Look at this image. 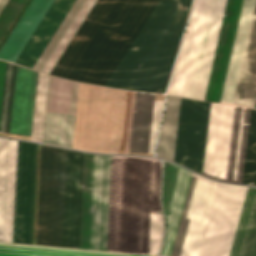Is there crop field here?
<instances>
[{"label": "crop field", "instance_id": "1", "mask_svg": "<svg viewBox=\"0 0 256 256\" xmlns=\"http://www.w3.org/2000/svg\"><path fill=\"white\" fill-rule=\"evenodd\" d=\"M161 164L112 156L107 251L147 254L149 212H161Z\"/></svg>", "mask_w": 256, "mask_h": 256}, {"label": "crop field", "instance_id": "2", "mask_svg": "<svg viewBox=\"0 0 256 256\" xmlns=\"http://www.w3.org/2000/svg\"><path fill=\"white\" fill-rule=\"evenodd\" d=\"M191 0H162L106 86L163 92Z\"/></svg>", "mask_w": 256, "mask_h": 256}, {"label": "crop field", "instance_id": "3", "mask_svg": "<svg viewBox=\"0 0 256 256\" xmlns=\"http://www.w3.org/2000/svg\"><path fill=\"white\" fill-rule=\"evenodd\" d=\"M66 150L42 145L36 244L62 247ZM83 153L67 150L63 247L78 248Z\"/></svg>", "mask_w": 256, "mask_h": 256}, {"label": "crop field", "instance_id": "4", "mask_svg": "<svg viewBox=\"0 0 256 256\" xmlns=\"http://www.w3.org/2000/svg\"><path fill=\"white\" fill-rule=\"evenodd\" d=\"M142 0H97L51 75L89 83Z\"/></svg>", "mask_w": 256, "mask_h": 256}, {"label": "crop field", "instance_id": "5", "mask_svg": "<svg viewBox=\"0 0 256 256\" xmlns=\"http://www.w3.org/2000/svg\"><path fill=\"white\" fill-rule=\"evenodd\" d=\"M227 0H194L168 94L204 100Z\"/></svg>", "mask_w": 256, "mask_h": 256}, {"label": "crop field", "instance_id": "6", "mask_svg": "<svg viewBox=\"0 0 256 256\" xmlns=\"http://www.w3.org/2000/svg\"><path fill=\"white\" fill-rule=\"evenodd\" d=\"M16 141L0 138V241L11 242ZM36 144L17 141L12 242L31 244Z\"/></svg>", "mask_w": 256, "mask_h": 256}, {"label": "crop field", "instance_id": "7", "mask_svg": "<svg viewBox=\"0 0 256 256\" xmlns=\"http://www.w3.org/2000/svg\"><path fill=\"white\" fill-rule=\"evenodd\" d=\"M249 112L211 103L203 175L240 183Z\"/></svg>", "mask_w": 256, "mask_h": 256}, {"label": "crop field", "instance_id": "8", "mask_svg": "<svg viewBox=\"0 0 256 256\" xmlns=\"http://www.w3.org/2000/svg\"><path fill=\"white\" fill-rule=\"evenodd\" d=\"M255 97L256 0H243L220 102L253 107Z\"/></svg>", "mask_w": 256, "mask_h": 256}, {"label": "crop field", "instance_id": "9", "mask_svg": "<svg viewBox=\"0 0 256 256\" xmlns=\"http://www.w3.org/2000/svg\"><path fill=\"white\" fill-rule=\"evenodd\" d=\"M111 156L84 153L79 248L106 251Z\"/></svg>", "mask_w": 256, "mask_h": 256}, {"label": "crop field", "instance_id": "10", "mask_svg": "<svg viewBox=\"0 0 256 256\" xmlns=\"http://www.w3.org/2000/svg\"><path fill=\"white\" fill-rule=\"evenodd\" d=\"M6 62L0 61V104ZM37 72L6 65L0 112V132L29 137Z\"/></svg>", "mask_w": 256, "mask_h": 256}, {"label": "crop field", "instance_id": "11", "mask_svg": "<svg viewBox=\"0 0 256 256\" xmlns=\"http://www.w3.org/2000/svg\"><path fill=\"white\" fill-rule=\"evenodd\" d=\"M217 184L193 174L171 256H198Z\"/></svg>", "mask_w": 256, "mask_h": 256}, {"label": "crop field", "instance_id": "12", "mask_svg": "<svg viewBox=\"0 0 256 256\" xmlns=\"http://www.w3.org/2000/svg\"><path fill=\"white\" fill-rule=\"evenodd\" d=\"M246 188L218 184L199 256H229Z\"/></svg>", "mask_w": 256, "mask_h": 256}, {"label": "crop field", "instance_id": "13", "mask_svg": "<svg viewBox=\"0 0 256 256\" xmlns=\"http://www.w3.org/2000/svg\"><path fill=\"white\" fill-rule=\"evenodd\" d=\"M210 103L181 98L173 161L201 173ZM195 171V172H196Z\"/></svg>", "mask_w": 256, "mask_h": 256}, {"label": "crop field", "instance_id": "14", "mask_svg": "<svg viewBox=\"0 0 256 256\" xmlns=\"http://www.w3.org/2000/svg\"><path fill=\"white\" fill-rule=\"evenodd\" d=\"M78 83L49 77L46 109L75 114ZM45 110L42 141L71 147L75 115Z\"/></svg>", "mask_w": 256, "mask_h": 256}, {"label": "crop field", "instance_id": "15", "mask_svg": "<svg viewBox=\"0 0 256 256\" xmlns=\"http://www.w3.org/2000/svg\"><path fill=\"white\" fill-rule=\"evenodd\" d=\"M135 92L128 151L153 153L164 101Z\"/></svg>", "mask_w": 256, "mask_h": 256}, {"label": "crop field", "instance_id": "16", "mask_svg": "<svg viewBox=\"0 0 256 256\" xmlns=\"http://www.w3.org/2000/svg\"><path fill=\"white\" fill-rule=\"evenodd\" d=\"M160 0H143L109 54L90 81L105 86L137 35L159 4Z\"/></svg>", "mask_w": 256, "mask_h": 256}, {"label": "crop field", "instance_id": "17", "mask_svg": "<svg viewBox=\"0 0 256 256\" xmlns=\"http://www.w3.org/2000/svg\"><path fill=\"white\" fill-rule=\"evenodd\" d=\"M96 0H76L54 36L33 66L49 74Z\"/></svg>", "mask_w": 256, "mask_h": 256}, {"label": "crop field", "instance_id": "18", "mask_svg": "<svg viewBox=\"0 0 256 256\" xmlns=\"http://www.w3.org/2000/svg\"><path fill=\"white\" fill-rule=\"evenodd\" d=\"M242 0H228L216 51L212 75L206 95L208 101L219 102L230 50L238 21Z\"/></svg>", "mask_w": 256, "mask_h": 256}, {"label": "crop field", "instance_id": "19", "mask_svg": "<svg viewBox=\"0 0 256 256\" xmlns=\"http://www.w3.org/2000/svg\"><path fill=\"white\" fill-rule=\"evenodd\" d=\"M163 162L165 165L163 207L166 236L161 255L167 256L190 172L169 162Z\"/></svg>", "mask_w": 256, "mask_h": 256}, {"label": "crop field", "instance_id": "20", "mask_svg": "<svg viewBox=\"0 0 256 256\" xmlns=\"http://www.w3.org/2000/svg\"><path fill=\"white\" fill-rule=\"evenodd\" d=\"M75 0H55L16 61L32 68Z\"/></svg>", "mask_w": 256, "mask_h": 256}, {"label": "crop field", "instance_id": "21", "mask_svg": "<svg viewBox=\"0 0 256 256\" xmlns=\"http://www.w3.org/2000/svg\"><path fill=\"white\" fill-rule=\"evenodd\" d=\"M230 256H256V189L247 188Z\"/></svg>", "mask_w": 256, "mask_h": 256}, {"label": "crop field", "instance_id": "22", "mask_svg": "<svg viewBox=\"0 0 256 256\" xmlns=\"http://www.w3.org/2000/svg\"><path fill=\"white\" fill-rule=\"evenodd\" d=\"M0 256H140L19 244L0 243Z\"/></svg>", "mask_w": 256, "mask_h": 256}, {"label": "crop field", "instance_id": "23", "mask_svg": "<svg viewBox=\"0 0 256 256\" xmlns=\"http://www.w3.org/2000/svg\"><path fill=\"white\" fill-rule=\"evenodd\" d=\"M180 98L167 96L161 133L156 155L172 160Z\"/></svg>", "mask_w": 256, "mask_h": 256}, {"label": "crop field", "instance_id": "24", "mask_svg": "<svg viewBox=\"0 0 256 256\" xmlns=\"http://www.w3.org/2000/svg\"><path fill=\"white\" fill-rule=\"evenodd\" d=\"M241 183L256 185V110L251 109Z\"/></svg>", "mask_w": 256, "mask_h": 256}, {"label": "crop field", "instance_id": "25", "mask_svg": "<svg viewBox=\"0 0 256 256\" xmlns=\"http://www.w3.org/2000/svg\"><path fill=\"white\" fill-rule=\"evenodd\" d=\"M48 76L38 72L30 140L41 142Z\"/></svg>", "mask_w": 256, "mask_h": 256}, {"label": "crop field", "instance_id": "26", "mask_svg": "<svg viewBox=\"0 0 256 256\" xmlns=\"http://www.w3.org/2000/svg\"><path fill=\"white\" fill-rule=\"evenodd\" d=\"M5 0H0V7ZM27 0H6L0 9V41L21 11Z\"/></svg>", "mask_w": 256, "mask_h": 256}, {"label": "crop field", "instance_id": "27", "mask_svg": "<svg viewBox=\"0 0 256 256\" xmlns=\"http://www.w3.org/2000/svg\"><path fill=\"white\" fill-rule=\"evenodd\" d=\"M163 232L162 214H150L148 254L157 255Z\"/></svg>", "mask_w": 256, "mask_h": 256}, {"label": "crop field", "instance_id": "28", "mask_svg": "<svg viewBox=\"0 0 256 256\" xmlns=\"http://www.w3.org/2000/svg\"><path fill=\"white\" fill-rule=\"evenodd\" d=\"M192 174L193 173H190L189 181H188V184H187L185 196H184V199H183L182 207H181V210H180L179 218H178V221H177L176 229H175V232H174V236H173V240H172V244H171L168 256L171 255L172 247H173V244H174V240H175V236H176V233H177L178 225H179V222H180L181 214H182L183 207H184V204H185V200H186V196H187V193H188L189 185H190V182H191Z\"/></svg>", "mask_w": 256, "mask_h": 256}]
</instances>
